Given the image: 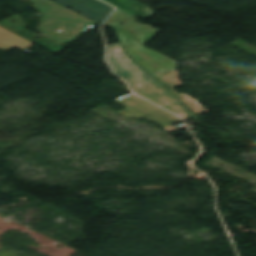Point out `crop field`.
Listing matches in <instances>:
<instances>
[{
  "instance_id": "34b2d1b8",
  "label": "crop field",
  "mask_w": 256,
  "mask_h": 256,
  "mask_svg": "<svg viewBox=\"0 0 256 256\" xmlns=\"http://www.w3.org/2000/svg\"><path fill=\"white\" fill-rule=\"evenodd\" d=\"M107 58L114 71L128 83L140 87L154 80V78L125 55L120 44L108 46Z\"/></svg>"
},
{
  "instance_id": "8a807250",
  "label": "crop field",
  "mask_w": 256,
  "mask_h": 256,
  "mask_svg": "<svg viewBox=\"0 0 256 256\" xmlns=\"http://www.w3.org/2000/svg\"><path fill=\"white\" fill-rule=\"evenodd\" d=\"M123 23L125 26H120ZM116 29L127 53L153 76L160 78L176 70V62L142 45L159 30L135 22V17L118 9L105 23Z\"/></svg>"
},
{
  "instance_id": "e52e79f7",
  "label": "crop field",
  "mask_w": 256,
  "mask_h": 256,
  "mask_svg": "<svg viewBox=\"0 0 256 256\" xmlns=\"http://www.w3.org/2000/svg\"><path fill=\"white\" fill-rule=\"evenodd\" d=\"M113 102H115V103H117V104L127 108L125 110L119 111V113L122 114V115H125V116H128V117H132V118H137V119H141V118L145 117V118H147V119H149V120H151V121H153V122L163 126L164 129L167 132L179 130L178 128H175V127H173L171 125H168V124H166L164 122H161V121H159V120H157V119H155V118H153L151 116H148V115H146V114H144V113H142V112H140V111H138V110H136V109H134V108H132V107H130L128 105H125V104L119 102V101L113 100Z\"/></svg>"
},
{
  "instance_id": "412701ff",
  "label": "crop field",
  "mask_w": 256,
  "mask_h": 256,
  "mask_svg": "<svg viewBox=\"0 0 256 256\" xmlns=\"http://www.w3.org/2000/svg\"><path fill=\"white\" fill-rule=\"evenodd\" d=\"M75 12L100 24L109 16L113 8L99 0H54Z\"/></svg>"
},
{
  "instance_id": "d8731c3e",
  "label": "crop field",
  "mask_w": 256,
  "mask_h": 256,
  "mask_svg": "<svg viewBox=\"0 0 256 256\" xmlns=\"http://www.w3.org/2000/svg\"><path fill=\"white\" fill-rule=\"evenodd\" d=\"M131 87H132V89H135V88H137V87H135V86H133V85H131V84H129Z\"/></svg>"
},
{
  "instance_id": "dd49c442",
  "label": "crop field",
  "mask_w": 256,
  "mask_h": 256,
  "mask_svg": "<svg viewBox=\"0 0 256 256\" xmlns=\"http://www.w3.org/2000/svg\"><path fill=\"white\" fill-rule=\"evenodd\" d=\"M104 1H107L135 16L140 15V16L146 17L155 12L136 0H104Z\"/></svg>"
},
{
  "instance_id": "ac0d7876",
  "label": "crop field",
  "mask_w": 256,
  "mask_h": 256,
  "mask_svg": "<svg viewBox=\"0 0 256 256\" xmlns=\"http://www.w3.org/2000/svg\"><path fill=\"white\" fill-rule=\"evenodd\" d=\"M37 10L44 14L39 31L41 34L64 44L76 41L88 28L96 23L79 16L49 0H31ZM61 30L59 33L55 32Z\"/></svg>"
},
{
  "instance_id": "f4fd0767",
  "label": "crop field",
  "mask_w": 256,
  "mask_h": 256,
  "mask_svg": "<svg viewBox=\"0 0 256 256\" xmlns=\"http://www.w3.org/2000/svg\"><path fill=\"white\" fill-rule=\"evenodd\" d=\"M31 46V42L0 27V49L9 51L13 47L26 51Z\"/></svg>"
}]
</instances>
